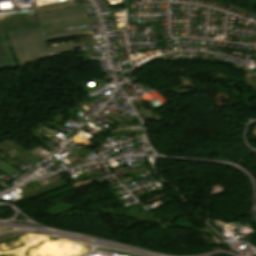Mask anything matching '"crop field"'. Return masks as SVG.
<instances>
[{"instance_id": "8a807250", "label": "crop field", "mask_w": 256, "mask_h": 256, "mask_svg": "<svg viewBox=\"0 0 256 256\" xmlns=\"http://www.w3.org/2000/svg\"><path fill=\"white\" fill-rule=\"evenodd\" d=\"M21 64L45 58L50 53L86 46L84 42L48 47L41 28L9 33Z\"/></svg>"}, {"instance_id": "ac0d7876", "label": "crop field", "mask_w": 256, "mask_h": 256, "mask_svg": "<svg viewBox=\"0 0 256 256\" xmlns=\"http://www.w3.org/2000/svg\"><path fill=\"white\" fill-rule=\"evenodd\" d=\"M96 22H99L98 18L88 19V17H85V18H79V19H73V20H67V21H61V22L43 24L41 25V28L43 31H46V30H55V29L73 27V26L88 24V23H96Z\"/></svg>"}, {"instance_id": "34b2d1b8", "label": "crop field", "mask_w": 256, "mask_h": 256, "mask_svg": "<svg viewBox=\"0 0 256 256\" xmlns=\"http://www.w3.org/2000/svg\"><path fill=\"white\" fill-rule=\"evenodd\" d=\"M86 7V6H85ZM86 14L83 7L37 15L39 22Z\"/></svg>"}, {"instance_id": "412701ff", "label": "crop field", "mask_w": 256, "mask_h": 256, "mask_svg": "<svg viewBox=\"0 0 256 256\" xmlns=\"http://www.w3.org/2000/svg\"><path fill=\"white\" fill-rule=\"evenodd\" d=\"M69 5H73V2L69 1V2L50 4V5H46V6H38V7H35V10H36V12H39V11H44V10L65 7V6H69Z\"/></svg>"}, {"instance_id": "f4fd0767", "label": "crop field", "mask_w": 256, "mask_h": 256, "mask_svg": "<svg viewBox=\"0 0 256 256\" xmlns=\"http://www.w3.org/2000/svg\"><path fill=\"white\" fill-rule=\"evenodd\" d=\"M9 67H11V66L8 62V59H7L6 55H5L3 45H2V42H1V39H0V69L9 68Z\"/></svg>"}, {"instance_id": "dd49c442", "label": "crop field", "mask_w": 256, "mask_h": 256, "mask_svg": "<svg viewBox=\"0 0 256 256\" xmlns=\"http://www.w3.org/2000/svg\"><path fill=\"white\" fill-rule=\"evenodd\" d=\"M0 35H1V39H2V42H3V45H4V49H5L6 55H7L8 59H9V62H10L12 67H16V65L14 63V60H13V57L11 55V51L9 49L8 43L6 41L5 35L4 34H0Z\"/></svg>"}, {"instance_id": "e52e79f7", "label": "crop field", "mask_w": 256, "mask_h": 256, "mask_svg": "<svg viewBox=\"0 0 256 256\" xmlns=\"http://www.w3.org/2000/svg\"><path fill=\"white\" fill-rule=\"evenodd\" d=\"M78 36H81L80 33L62 35V36H55V37H48V38H45V39H46V41H50V40H58V39L72 38V37H78Z\"/></svg>"}, {"instance_id": "d8731c3e", "label": "crop field", "mask_w": 256, "mask_h": 256, "mask_svg": "<svg viewBox=\"0 0 256 256\" xmlns=\"http://www.w3.org/2000/svg\"><path fill=\"white\" fill-rule=\"evenodd\" d=\"M76 32H79V30L76 29V30H71V31H65V32H58V33L46 34V35H44V36H45V37H48V36H55V35H62V34H69V33H76Z\"/></svg>"}, {"instance_id": "5a996713", "label": "crop field", "mask_w": 256, "mask_h": 256, "mask_svg": "<svg viewBox=\"0 0 256 256\" xmlns=\"http://www.w3.org/2000/svg\"><path fill=\"white\" fill-rule=\"evenodd\" d=\"M7 34H8V33H7ZM8 38H9V40H7V41H8V43H9L10 49H11V51L14 53V56H15V58H16L18 64H19V66H20L21 64H20V62H19V60H18V57H17V55H16V52H15L14 47H13V45H12V42H11V40H10L9 34H8Z\"/></svg>"}, {"instance_id": "3316defc", "label": "crop field", "mask_w": 256, "mask_h": 256, "mask_svg": "<svg viewBox=\"0 0 256 256\" xmlns=\"http://www.w3.org/2000/svg\"><path fill=\"white\" fill-rule=\"evenodd\" d=\"M87 15H84V16H78V17H72V18H66V19H60V20H54V21H48V22H42L40 24H43V23H49V22H55V21H61V20H67V19H73V18H79V17H85Z\"/></svg>"}, {"instance_id": "28ad6ade", "label": "crop field", "mask_w": 256, "mask_h": 256, "mask_svg": "<svg viewBox=\"0 0 256 256\" xmlns=\"http://www.w3.org/2000/svg\"><path fill=\"white\" fill-rule=\"evenodd\" d=\"M111 12H112V16H113V20H114V24H115L114 10L112 9V10H111ZM115 30H117V28H116V24H115Z\"/></svg>"}, {"instance_id": "d1516ede", "label": "crop field", "mask_w": 256, "mask_h": 256, "mask_svg": "<svg viewBox=\"0 0 256 256\" xmlns=\"http://www.w3.org/2000/svg\"><path fill=\"white\" fill-rule=\"evenodd\" d=\"M1 180V179H0ZM2 181V180H1ZM4 182V181H3ZM7 184V183H6ZM7 185H9V184H7Z\"/></svg>"}]
</instances>
